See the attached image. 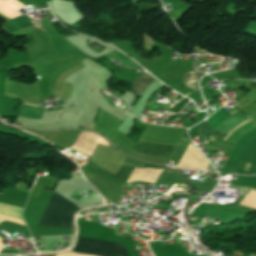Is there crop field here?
Returning a JSON list of instances; mask_svg holds the SVG:
<instances>
[{"label": "crop field", "mask_w": 256, "mask_h": 256, "mask_svg": "<svg viewBox=\"0 0 256 256\" xmlns=\"http://www.w3.org/2000/svg\"><path fill=\"white\" fill-rule=\"evenodd\" d=\"M78 209L80 208L53 192L38 225L72 229L73 214Z\"/></svg>", "instance_id": "obj_1"}, {"label": "crop field", "mask_w": 256, "mask_h": 256, "mask_svg": "<svg viewBox=\"0 0 256 256\" xmlns=\"http://www.w3.org/2000/svg\"><path fill=\"white\" fill-rule=\"evenodd\" d=\"M78 240L76 246L78 245ZM74 252L96 256H128L126 245L88 238H80L79 245Z\"/></svg>", "instance_id": "obj_2"}, {"label": "crop field", "mask_w": 256, "mask_h": 256, "mask_svg": "<svg viewBox=\"0 0 256 256\" xmlns=\"http://www.w3.org/2000/svg\"><path fill=\"white\" fill-rule=\"evenodd\" d=\"M231 115L229 112H227L223 107H221L219 110H217L210 118H208L206 121L213 129L216 125H218L224 118ZM247 119L245 115H243L241 112H236L232 116L226 118L223 120L218 126L215 127L214 131L221 132L223 134H227L238 122ZM249 120V119H247ZM245 120V121H247ZM242 121L238 123L228 134L227 136L241 123L245 122Z\"/></svg>", "instance_id": "obj_3"}, {"label": "crop field", "mask_w": 256, "mask_h": 256, "mask_svg": "<svg viewBox=\"0 0 256 256\" xmlns=\"http://www.w3.org/2000/svg\"><path fill=\"white\" fill-rule=\"evenodd\" d=\"M33 25L30 21L29 16L26 14L14 18L12 20L7 21L6 23L2 24L4 30L9 33L27 26Z\"/></svg>", "instance_id": "obj_4"}, {"label": "crop field", "mask_w": 256, "mask_h": 256, "mask_svg": "<svg viewBox=\"0 0 256 256\" xmlns=\"http://www.w3.org/2000/svg\"><path fill=\"white\" fill-rule=\"evenodd\" d=\"M155 79L152 78L147 73H143L138 78H136L132 83H134V87L131 92L135 94V96L142 95L147 86L152 83ZM149 87V86H148Z\"/></svg>", "instance_id": "obj_5"}, {"label": "crop field", "mask_w": 256, "mask_h": 256, "mask_svg": "<svg viewBox=\"0 0 256 256\" xmlns=\"http://www.w3.org/2000/svg\"><path fill=\"white\" fill-rule=\"evenodd\" d=\"M202 75L204 74L200 72H186L184 76L183 84L190 88H195L196 90L199 91L197 82Z\"/></svg>", "instance_id": "obj_6"}, {"label": "crop field", "mask_w": 256, "mask_h": 256, "mask_svg": "<svg viewBox=\"0 0 256 256\" xmlns=\"http://www.w3.org/2000/svg\"><path fill=\"white\" fill-rule=\"evenodd\" d=\"M201 134H203L207 139L209 137V135L211 134L212 130L209 127V125L205 123L202 125V127L198 130Z\"/></svg>", "instance_id": "obj_7"}, {"label": "crop field", "mask_w": 256, "mask_h": 256, "mask_svg": "<svg viewBox=\"0 0 256 256\" xmlns=\"http://www.w3.org/2000/svg\"><path fill=\"white\" fill-rule=\"evenodd\" d=\"M123 164L132 165V166H136V167L142 168L145 163H142V162H139V161H135V160H132V159L127 157V159L125 160V162Z\"/></svg>", "instance_id": "obj_8"}, {"label": "crop field", "mask_w": 256, "mask_h": 256, "mask_svg": "<svg viewBox=\"0 0 256 256\" xmlns=\"http://www.w3.org/2000/svg\"><path fill=\"white\" fill-rule=\"evenodd\" d=\"M24 105H26V104H24ZM28 106H31V105H28ZM32 107H36V108H38L37 106H32Z\"/></svg>", "instance_id": "obj_9"}, {"label": "crop field", "mask_w": 256, "mask_h": 256, "mask_svg": "<svg viewBox=\"0 0 256 256\" xmlns=\"http://www.w3.org/2000/svg\"><path fill=\"white\" fill-rule=\"evenodd\" d=\"M68 253H71V252H68ZM73 254H76V253H73Z\"/></svg>", "instance_id": "obj_10"}]
</instances>
